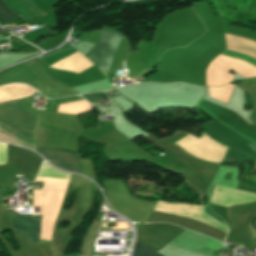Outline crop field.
<instances>
[{
	"mask_svg": "<svg viewBox=\"0 0 256 256\" xmlns=\"http://www.w3.org/2000/svg\"><path fill=\"white\" fill-rule=\"evenodd\" d=\"M133 256H160V255L151 251L150 249L143 246L142 244L136 242L135 247H134V251H133Z\"/></svg>",
	"mask_w": 256,
	"mask_h": 256,
	"instance_id": "crop-field-6",
	"label": "crop field"
},
{
	"mask_svg": "<svg viewBox=\"0 0 256 256\" xmlns=\"http://www.w3.org/2000/svg\"><path fill=\"white\" fill-rule=\"evenodd\" d=\"M81 96H83L89 102L94 103L96 101H99V100L107 97V94L104 92H99V93L85 94V95H81Z\"/></svg>",
	"mask_w": 256,
	"mask_h": 256,
	"instance_id": "crop-field-7",
	"label": "crop field"
},
{
	"mask_svg": "<svg viewBox=\"0 0 256 256\" xmlns=\"http://www.w3.org/2000/svg\"><path fill=\"white\" fill-rule=\"evenodd\" d=\"M114 33H115V31L110 30V29L104 30L99 37L98 45L95 47V49L89 55L88 59H90L97 67L99 66V63L104 54L105 48ZM123 37H124L123 35L116 32L113 35L112 39L110 40V42L107 46V49L105 51V54L100 63V66H99L105 74L108 70V67H109L111 59L114 55V52H115L120 40ZM100 68H99V70L101 71ZM102 71H101V73L104 75V73Z\"/></svg>",
	"mask_w": 256,
	"mask_h": 256,
	"instance_id": "crop-field-1",
	"label": "crop field"
},
{
	"mask_svg": "<svg viewBox=\"0 0 256 256\" xmlns=\"http://www.w3.org/2000/svg\"><path fill=\"white\" fill-rule=\"evenodd\" d=\"M223 229H224V230L226 231V233H227V229H226V228H224V227H223Z\"/></svg>",
	"mask_w": 256,
	"mask_h": 256,
	"instance_id": "crop-field-9",
	"label": "crop field"
},
{
	"mask_svg": "<svg viewBox=\"0 0 256 256\" xmlns=\"http://www.w3.org/2000/svg\"><path fill=\"white\" fill-rule=\"evenodd\" d=\"M37 151L41 153L47 161L49 160L52 164L60 168L76 173H82L77 154L65 153L59 150L45 148H38Z\"/></svg>",
	"mask_w": 256,
	"mask_h": 256,
	"instance_id": "crop-field-2",
	"label": "crop field"
},
{
	"mask_svg": "<svg viewBox=\"0 0 256 256\" xmlns=\"http://www.w3.org/2000/svg\"><path fill=\"white\" fill-rule=\"evenodd\" d=\"M15 230L32 241H38L40 219L31 217H12Z\"/></svg>",
	"mask_w": 256,
	"mask_h": 256,
	"instance_id": "crop-field-3",
	"label": "crop field"
},
{
	"mask_svg": "<svg viewBox=\"0 0 256 256\" xmlns=\"http://www.w3.org/2000/svg\"><path fill=\"white\" fill-rule=\"evenodd\" d=\"M92 66L94 65L88 59H86L84 56L77 52L49 67L55 70H67L79 73Z\"/></svg>",
	"mask_w": 256,
	"mask_h": 256,
	"instance_id": "crop-field-4",
	"label": "crop field"
},
{
	"mask_svg": "<svg viewBox=\"0 0 256 256\" xmlns=\"http://www.w3.org/2000/svg\"><path fill=\"white\" fill-rule=\"evenodd\" d=\"M19 17L16 11L7 3L6 0H0V21L5 24Z\"/></svg>",
	"mask_w": 256,
	"mask_h": 256,
	"instance_id": "crop-field-5",
	"label": "crop field"
},
{
	"mask_svg": "<svg viewBox=\"0 0 256 256\" xmlns=\"http://www.w3.org/2000/svg\"><path fill=\"white\" fill-rule=\"evenodd\" d=\"M33 206H37V207H42L43 208V206H38V205H33ZM41 212H42V210H41Z\"/></svg>",
	"mask_w": 256,
	"mask_h": 256,
	"instance_id": "crop-field-8",
	"label": "crop field"
}]
</instances>
